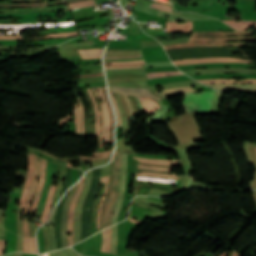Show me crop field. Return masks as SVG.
Returning <instances> with one entry per match:
<instances>
[{
  "mask_svg": "<svg viewBox=\"0 0 256 256\" xmlns=\"http://www.w3.org/2000/svg\"><path fill=\"white\" fill-rule=\"evenodd\" d=\"M252 31H232V32H192L188 43H178L172 45H165V50L172 48L184 47H203V46H248L244 42H220L233 40L256 41L255 37H223L232 35H250ZM198 41H213L206 43H198Z\"/></svg>",
  "mask_w": 256,
  "mask_h": 256,
  "instance_id": "crop-field-1",
  "label": "crop field"
},
{
  "mask_svg": "<svg viewBox=\"0 0 256 256\" xmlns=\"http://www.w3.org/2000/svg\"><path fill=\"white\" fill-rule=\"evenodd\" d=\"M215 92L184 94L183 107L188 113L208 115Z\"/></svg>",
  "mask_w": 256,
  "mask_h": 256,
  "instance_id": "crop-field-2",
  "label": "crop field"
},
{
  "mask_svg": "<svg viewBox=\"0 0 256 256\" xmlns=\"http://www.w3.org/2000/svg\"><path fill=\"white\" fill-rule=\"evenodd\" d=\"M119 180H120V173L112 175V184H111V188H110V197H109V201L107 203V206L104 210L102 229L104 228L105 224H106V227L110 226L111 217H112L113 210H114L115 203H116L117 196H118Z\"/></svg>",
  "mask_w": 256,
  "mask_h": 256,
  "instance_id": "crop-field-3",
  "label": "crop field"
},
{
  "mask_svg": "<svg viewBox=\"0 0 256 256\" xmlns=\"http://www.w3.org/2000/svg\"><path fill=\"white\" fill-rule=\"evenodd\" d=\"M109 91L124 94L126 101L128 103V107H129L132 118L134 117V112L132 110L130 100L126 95L147 97V98L156 99V100H160V101L163 99V98L153 94L148 89H130V88L109 87Z\"/></svg>",
  "mask_w": 256,
  "mask_h": 256,
  "instance_id": "crop-field-4",
  "label": "crop field"
},
{
  "mask_svg": "<svg viewBox=\"0 0 256 256\" xmlns=\"http://www.w3.org/2000/svg\"><path fill=\"white\" fill-rule=\"evenodd\" d=\"M39 160H40V157L35 155V164H34L35 173H34L33 183L31 185V189H30V192H29L27 203H26V206H25V209H24V212H23V234H24L25 237H29V231H28V222L24 218V214L29 211L30 202L32 200V197H33L35 189H36Z\"/></svg>",
  "mask_w": 256,
  "mask_h": 256,
  "instance_id": "crop-field-5",
  "label": "crop field"
},
{
  "mask_svg": "<svg viewBox=\"0 0 256 256\" xmlns=\"http://www.w3.org/2000/svg\"><path fill=\"white\" fill-rule=\"evenodd\" d=\"M84 179L82 178L79 182H78V190L73 198V200L71 201L70 205H69V210H68V220H67V229L68 232L72 231L71 235L68 236V246L73 244V219H74V208H75V204H76V200L82 190L83 187V183H84Z\"/></svg>",
  "mask_w": 256,
  "mask_h": 256,
  "instance_id": "crop-field-6",
  "label": "crop field"
},
{
  "mask_svg": "<svg viewBox=\"0 0 256 256\" xmlns=\"http://www.w3.org/2000/svg\"><path fill=\"white\" fill-rule=\"evenodd\" d=\"M150 6L159 9V16L161 17L169 16L168 21H171V22L189 21V19H187L181 13L172 12L171 6L169 5L152 3Z\"/></svg>",
  "mask_w": 256,
  "mask_h": 256,
  "instance_id": "crop-field-7",
  "label": "crop field"
},
{
  "mask_svg": "<svg viewBox=\"0 0 256 256\" xmlns=\"http://www.w3.org/2000/svg\"><path fill=\"white\" fill-rule=\"evenodd\" d=\"M46 162L47 161L44 160V159L41 160L39 184L37 186V190H36V193L34 195V199H33V202H32L31 209H30L29 217H31L32 213L35 212L36 209H37V205H38V202H39V199H40V194H41V191H42L43 182H44L45 174H46Z\"/></svg>",
  "mask_w": 256,
  "mask_h": 256,
  "instance_id": "crop-field-8",
  "label": "crop field"
},
{
  "mask_svg": "<svg viewBox=\"0 0 256 256\" xmlns=\"http://www.w3.org/2000/svg\"><path fill=\"white\" fill-rule=\"evenodd\" d=\"M212 88H215L219 91H226V90H238L248 93L256 94V84H219V85H208ZM253 89L252 91H249V89Z\"/></svg>",
  "mask_w": 256,
  "mask_h": 256,
  "instance_id": "crop-field-9",
  "label": "crop field"
},
{
  "mask_svg": "<svg viewBox=\"0 0 256 256\" xmlns=\"http://www.w3.org/2000/svg\"><path fill=\"white\" fill-rule=\"evenodd\" d=\"M175 65L179 64H191V63H203V62H243L251 63L245 60H239L235 58H211V59H187V60H178L173 61Z\"/></svg>",
  "mask_w": 256,
  "mask_h": 256,
  "instance_id": "crop-field-10",
  "label": "crop field"
},
{
  "mask_svg": "<svg viewBox=\"0 0 256 256\" xmlns=\"http://www.w3.org/2000/svg\"><path fill=\"white\" fill-rule=\"evenodd\" d=\"M13 2H35V1H45L41 3H32V4H9V3H0V7H40L47 6L50 4H59L64 3L63 0L55 1L54 3H48L47 0H11Z\"/></svg>",
  "mask_w": 256,
  "mask_h": 256,
  "instance_id": "crop-field-11",
  "label": "crop field"
},
{
  "mask_svg": "<svg viewBox=\"0 0 256 256\" xmlns=\"http://www.w3.org/2000/svg\"><path fill=\"white\" fill-rule=\"evenodd\" d=\"M33 163H34V155H29L28 175H27V180H26V184H25V189H24L22 198L20 200L21 205H19V207L22 208V209L24 207V203H25V200H26V197H27V193H28V190L30 188L31 181H32V178H33V172H34Z\"/></svg>",
  "mask_w": 256,
  "mask_h": 256,
  "instance_id": "crop-field-12",
  "label": "crop field"
},
{
  "mask_svg": "<svg viewBox=\"0 0 256 256\" xmlns=\"http://www.w3.org/2000/svg\"><path fill=\"white\" fill-rule=\"evenodd\" d=\"M52 165H53V163L48 161V163H47V175H46V180H45V184H44L42 196H41V199H40V202H39V206H38V209H37V210H40V211L43 210V206H44V203H45V199H46V196H47V192H48V189H49V187H50Z\"/></svg>",
  "mask_w": 256,
  "mask_h": 256,
  "instance_id": "crop-field-13",
  "label": "crop field"
},
{
  "mask_svg": "<svg viewBox=\"0 0 256 256\" xmlns=\"http://www.w3.org/2000/svg\"><path fill=\"white\" fill-rule=\"evenodd\" d=\"M125 181H126V174L121 173L120 191H119L118 200H117L116 207H115L114 214H113V218H112V224L117 222V216H118L121 204L123 202V197H124Z\"/></svg>",
  "mask_w": 256,
  "mask_h": 256,
  "instance_id": "crop-field-14",
  "label": "crop field"
},
{
  "mask_svg": "<svg viewBox=\"0 0 256 256\" xmlns=\"http://www.w3.org/2000/svg\"><path fill=\"white\" fill-rule=\"evenodd\" d=\"M192 26V22L167 23L166 30L167 32H189L192 31Z\"/></svg>",
  "mask_w": 256,
  "mask_h": 256,
  "instance_id": "crop-field-15",
  "label": "crop field"
},
{
  "mask_svg": "<svg viewBox=\"0 0 256 256\" xmlns=\"http://www.w3.org/2000/svg\"><path fill=\"white\" fill-rule=\"evenodd\" d=\"M97 89H98L99 96L101 97V99L103 101V109H104V117H105V129H106V132H105V135H104V139H105V143H108V139H109L108 107H107V104H106V101H105V98H104V95H103L101 87H98ZM105 143H104V147L103 148H107Z\"/></svg>",
  "mask_w": 256,
  "mask_h": 256,
  "instance_id": "crop-field-16",
  "label": "crop field"
},
{
  "mask_svg": "<svg viewBox=\"0 0 256 256\" xmlns=\"http://www.w3.org/2000/svg\"><path fill=\"white\" fill-rule=\"evenodd\" d=\"M194 91H196V90L192 89L191 86H186V87L167 89V90H164L162 93H158V94H160L161 96L167 98L169 96L176 95V94H179V93L194 92Z\"/></svg>",
  "mask_w": 256,
  "mask_h": 256,
  "instance_id": "crop-field-17",
  "label": "crop field"
},
{
  "mask_svg": "<svg viewBox=\"0 0 256 256\" xmlns=\"http://www.w3.org/2000/svg\"><path fill=\"white\" fill-rule=\"evenodd\" d=\"M66 10V6H53V7H47V8H31V9H15L13 11L8 10H0V12H35V11H55L60 9Z\"/></svg>",
  "mask_w": 256,
  "mask_h": 256,
  "instance_id": "crop-field-18",
  "label": "crop field"
},
{
  "mask_svg": "<svg viewBox=\"0 0 256 256\" xmlns=\"http://www.w3.org/2000/svg\"><path fill=\"white\" fill-rule=\"evenodd\" d=\"M55 189H56L55 186L50 187V190H49V193H48V196H47V200H46V204H45V207H44V210H43L42 218H41L43 223L48 218V214H49V210H50V206H51V202H52V198H53V194H54Z\"/></svg>",
  "mask_w": 256,
  "mask_h": 256,
  "instance_id": "crop-field-19",
  "label": "crop field"
},
{
  "mask_svg": "<svg viewBox=\"0 0 256 256\" xmlns=\"http://www.w3.org/2000/svg\"><path fill=\"white\" fill-rule=\"evenodd\" d=\"M139 100L141 101L143 107H144V110L146 111V113L149 115L151 113H154L155 109L154 108H158L160 109L159 105L151 100V99H147V98H141V97H138Z\"/></svg>",
  "mask_w": 256,
  "mask_h": 256,
  "instance_id": "crop-field-20",
  "label": "crop field"
},
{
  "mask_svg": "<svg viewBox=\"0 0 256 256\" xmlns=\"http://www.w3.org/2000/svg\"><path fill=\"white\" fill-rule=\"evenodd\" d=\"M103 49H82L78 50L81 57L85 58H99Z\"/></svg>",
  "mask_w": 256,
  "mask_h": 256,
  "instance_id": "crop-field-21",
  "label": "crop field"
},
{
  "mask_svg": "<svg viewBox=\"0 0 256 256\" xmlns=\"http://www.w3.org/2000/svg\"><path fill=\"white\" fill-rule=\"evenodd\" d=\"M202 83H256V79H246L235 82L233 79L198 80Z\"/></svg>",
  "mask_w": 256,
  "mask_h": 256,
  "instance_id": "crop-field-22",
  "label": "crop field"
},
{
  "mask_svg": "<svg viewBox=\"0 0 256 256\" xmlns=\"http://www.w3.org/2000/svg\"><path fill=\"white\" fill-rule=\"evenodd\" d=\"M224 22L226 24H228L229 26H231L232 28L237 29V30H245V29H247V26L256 24V21H240V22L224 21Z\"/></svg>",
  "mask_w": 256,
  "mask_h": 256,
  "instance_id": "crop-field-23",
  "label": "crop field"
},
{
  "mask_svg": "<svg viewBox=\"0 0 256 256\" xmlns=\"http://www.w3.org/2000/svg\"><path fill=\"white\" fill-rule=\"evenodd\" d=\"M88 90V94L94 104V110H95V117H96V128H97V135L96 136H99L100 135V127H99V108L97 106V103L95 101V98L93 96V93L91 91V89H87Z\"/></svg>",
  "mask_w": 256,
  "mask_h": 256,
  "instance_id": "crop-field-24",
  "label": "crop field"
},
{
  "mask_svg": "<svg viewBox=\"0 0 256 256\" xmlns=\"http://www.w3.org/2000/svg\"><path fill=\"white\" fill-rule=\"evenodd\" d=\"M106 97V101L109 107V113H110V125H111V135H110V144L113 145L114 143V137H113V129H114V118H113V114H112V110H111V106L109 104V100H108V96H107V92L105 88H102Z\"/></svg>",
  "mask_w": 256,
  "mask_h": 256,
  "instance_id": "crop-field-25",
  "label": "crop field"
},
{
  "mask_svg": "<svg viewBox=\"0 0 256 256\" xmlns=\"http://www.w3.org/2000/svg\"><path fill=\"white\" fill-rule=\"evenodd\" d=\"M93 91L95 93V96L97 98H99L95 88H93ZM99 107H100V116H101V136H99V147L102 148L103 133H104V118H103V112H102V108H101V100H100V98H99Z\"/></svg>",
  "mask_w": 256,
  "mask_h": 256,
  "instance_id": "crop-field-26",
  "label": "crop field"
},
{
  "mask_svg": "<svg viewBox=\"0 0 256 256\" xmlns=\"http://www.w3.org/2000/svg\"><path fill=\"white\" fill-rule=\"evenodd\" d=\"M69 5V9H73V8H79V7H89V6H93L95 5L94 0H86V1H82V2H76V3H70L67 4Z\"/></svg>",
  "mask_w": 256,
  "mask_h": 256,
  "instance_id": "crop-field-27",
  "label": "crop field"
},
{
  "mask_svg": "<svg viewBox=\"0 0 256 256\" xmlns=\"http://www.w3.org/2000/svg\"><path fill=\"white\" fill-rule=\"evenodd\" d=\"M138 176L161 177V178H169V179L179 180L176 177V175H164V174L147 173V172H138Z\"/></svg>",
  "mask_w": 256,
  "mask_h": 256,
  "instance_id": "crop-field-28",
  "label": "crop field"
},
{
  "mask_svg": "<svg viewBox=\"0 0 256 256\" xmlns=\"http://www.w3.org/2000/svg\"><path fill=\"white\" fill-rule=\"evenodd\" d=\"M120 165H121V153L115 152L113 158V173L120 172Z\"/></svg>",
  "mask_w": 256,
  "mask_h": 256,
  "instance_id": "crop-field-29",
  "label": "crop field"
},
{
  "mask_svg": "<svg viewBox=\"0 0 256 256\" xmlns=\"http://www.w3.org/2000/svg\"><path fill=\"white\" fill-rule=\"evenodd\" d=\"M41 24L44 23H39V24H33L32 26H29L28 28H35V27H40ZM74 22H63V23H54V24H45L46 27H58V26H69V25H73Z\"/></svg>",
  "mask_w": 256,
  "mask_h": 256,
  "instance_id": "crop-field-30",
  "label": "crop field"
},
{
  "mask_svg": "<svg viewBox=\"0 0 256 256\" xmlns=\"http://www.w3.org/2000/svg\"><path fill=\"white\" fill-rule=\"evenodd\" d=\"M108 178L109 176H105V177H102L101 178V182H106V186H105V192H104V196L99 204V212H98V219H97V230H99V219H100V211H101V205H102V202L106 196V190H107V185H108Z\"/></svg>",
  "mask_w": 256,
  "mask_h": 256,
  "instance_id": "crop-field-31",
  "label": "crop field"
},
{
  "mask_svg": "<svg viewBox=\"0 0 256 256\" xmlns=\"http://www.w3.org/2000/svg\"><path fill=\"white\" fill-rule=\"evenodd\" d=\"M116 228H117V225L112 227V237H111L112 247H111L110 253H114V254L116 251V242H117Z\"/></svg>",
  "mask_w": 256,
  "mask_h": 256,
  "instance_id": "crop-field-32",
  "label": "crop field"
},
{
  "mask_svg": "<svg viewBox=\"0 0 256 256\" xmlns=\"http://www.w3.org/2000/svg\"><path fill=\"white\" fill-rule=\"evenodd\" d=\"M138 180L158 181V182H161V183H174L173 180L160 179V178H149V177H138Z\"/></svg>",
  "mask_w": 256,
  "mask_h": 256,
  "instance_id": "crop-field-33",
  "label": "crop field"
},
{
  "mask_svg": "<svg viewBox=\"0 0 256 256\" xmlns=\"http://www.w3.org/2000/svg\"><path fill=\"white\" fill-rule=\"evenodd\" d=\"M75 107V123H76V131L77 133L80 132L79 123H80V112L77 106V103H74Z\"/></svg>",
  "mask_w": 256,
  "mask_h": 256,
  "instance_id": "crop-field-34",
  "label": "crop field"
},
{
  "mask_svg": "<svg viewBox=\"0 0 256 256\" xmlns=\"http://www.w3.org/2000/svg\"><path fill=\"white\" fill-rule=\"evenodd\" d=\"M56 256H74V251L70 248L56 251Z\"/></svg>",
  "mask_w": 256,
  "mask_h": 256,
  "instance_id": "crop-field-35",
  "label": "crop field"
},
{
  "mask_svg": "<svg viewBox=\"0 0 256 256\" xmlns=\"http://www.w3.org/2000/svg\"><path fill=\"white\" fill-rule=\"evenodd\" d=\"M110 93V99L114 105V109H115V112L117 114V126H121V119H120V116H119V112H118V109H117V104H116V100L113 96V93L109 92Z\"/></svg>",
  "mask_w": 256,
  "mask_h": 256,
  "instance_id": "crop-field-36",
  "label": "crop field"
},
{
  "mask_svg": "<svg viewBox=\"0 0 256 256\" xmlns=\"http://www.w3.org/2000/svg\"><path fill=\"white\" fill-rule=\"evenodd\" d=\"M73 35H78V33L73 32V33H65V34H49L44 38H60V37H67V36H73ZM39 39H41V38H39Z\"/></svg>",
  "mask_w": 256,
  "mask_h": 256,
  "instance_id": "crop-field-37",
  "label": "crop field"
},
{
  "mask_svg": "<svg viewBox=\"0 0 256 256\" xmlns=\"http://www.w3.org/2000/svg\"><path fill=\"white\" fill-rule=\"evenodd\" d=\"M137 157L154 158V159H175L174 156H151V155H139L134 154Z\"/></svg>",
  "mask_w": 256,
  "mask_h": 256,
  "instance_id": "crop-field-38",
  "label": "crop field"
},
{
  "mask_svg": "<svg viewBox=\"0 0 256 256\" xmlns=\"http://www.w3.org/2000/svg\"><path fill=\"white\" fill-rule=\"evenodd\" d=\"M107 230L103 231L102 233V249L101 251L106 252L107 251Z\"/></svg>",
  "mask_w": 256,
  "mask_h": 256,
  "instance_id": "crop-field-39",
  "label": "crop field"
},
{
  "mask_svg": "<svg viewBox=\"0 0 256 256\" xmlns=\"http://www.w3.org/2000/svg\"><path fill=\"white\" fill-rule=\"evenodd\" d=\"M30 24L27 25H0V29H20V28H26Z\"/></svg>",
  "mask_w": 256,
  "mask_h": 256,
  "instance_id": "crop-field-40",
  "label": "crop field"
},
{
  "mask_svg": "<svg viewBox=\"0 0 256 256\" xmlns=\"http://www.w3.org/2000/svg\"><path fill=\"white\" fill-rule=\"evenodd\" d=\"M78 102H79V107H80V112H81V118H82V123H81V129H82V135L86 136L85 134V128H84V115H83V108L81 106L80 98L78 97Z\"/></svg>",
  "mask_w": 256,
  "mask_h": 256,
  "instance_id": "crop-field-41",
  "label": "crop field"
},
{
  "mask_svg": "<svg viewBox=\"0 0 256 256\" xmlns=\"http://www.w3.org/2000/svg\"><path fill=\"white\" fill-rule=\"evenodd\" d=\"M126 162H127V154L122 153L121 172H126Z\"/></svg>",
  "mask_w": 256,
  "mask_h": 256,
  "instance_id": "crop-field-42",
  "label": "crop field"
},
{
  "mask_svg": "<svg viewBox=\"0 0 256 256\" xmlns=\"http://www.w3.org/2000/svg\"><path fill=\"white\" fill-rule=\"evenodd\" d=\"M30 252L37 253L34 238H30Z\"/></svg>",
  "mask_w": 256,
  "mask_h": 256,
  "instance_id": "crop-field-43",
  "label": "crop field"
},
{
  "mask_svg": "<svg viewBox=\"0 0 256 256\" xmlns=\"http://www.w3.org/2000/svg\"><path fill=\"white\" fill-rule=\"evenodd\" d=\"M29 251V238H24V252Z\"/></svg>",
  "mask_w": 256,
  "mask_h": 256,
  "instance_id": "crop-field-44",
  "label": "crop field"
},
{
  "mask_svg": "<svg viewBox=\"0 0 256 256\" xmlns=\"http://www.w3.org/2000/svg\"><path fill=\"white\" fill-rule=\"evenodd\" d=\"M141 57V55L136 56H129V57H104V59H117V58H138Z\"/></svg>",
  "mask_w": 256,
  "mask_h": 256,
  "instance_id": "crop-field-45",
  "label": "crop field"
},
{
  "mask_svg": "<svg viewBox=\"0 0 256 256\" xmlns=\"http://www.w3.org/2000/svg\"><path fill=\"white\" fill-rule=\"evenodd\" d=\"M136 62H144L143 60H137V61H123V62H104V64L109 63H136Z\"/></svg>",
  "mask_w": 256,
  "mask_h": 256,
  "instance_id": "crop-field-46",
  "label": "crop field"
},
{
  "mask_svg": "<svg viewBox=\"0 0 256 256\" xmlns=\"http://www.w3.org/2000/svg\"><path fill=\"white\" fill-rule=\"evenodd\" d=\"M0 39H21L20 36H0Z\"/></svg>",
  "mask_w": 256,
  "mask_h": 256,
  "instance_id": "crop-field-47",
  "label": "crop field"
},
{
  "mask_svg": "<svg viewBox=\"0 0 256 256\" xmlns=\"http://www.w3.org/2000/svg\"><path fill=\"white\" fill-rule=\"evenodd\" d=\"M135 158V157H133ZM135 159H141V158H135ZM142 160H149V161H159V162H173V163H177L176 160L174 161H168V160H151V159H142Z\"/></svg>",
  "mask_w": 256,
  "mask_h": 256,
  "instance_id": "crop-field-48",
  "label": "crop field"
},
{
  "mask_svg": "<svg viewBox=\"0 0 256 256\" xmlns=\"http://www.w3.org/2000/svg\"><path fill=\"white\" fill-rule=\"evenodd\" d=\"M136 65H145V63H140V64H123V65H104V66H136Z\"/></svg>",
  "mask_w": 256,
  "mask_h": 256,
  "instance_id": "crop-field-49",
  "label": "crop field"
},
{
  "mask_svg": "<svg viewBox=\"0 0 256 256\" xmlns=\"http://www.w3.org/2000/svg\"><path fill=\"white\" fill-rule=\"evenodd\" d=\"M4 254V241L0 240V256Z\"/></svg>",
  "mask_w": 256,
  "mask_h": 256,
  "instance_id": "crop-field-50",
  "label": "crop field"
},
{
  "mask_svg": "<svg viewBox=\"0 0 256 256\" xmlns=\"http://www.w3.org/2000/svg\"><path fill=\"white\" fill-rule=\"evenodd\" d=\"M139 162L153 163V164H162V165H176V164H170V163L148 162V161H141V160H139Z\"/></svg>",
  "mask_w": 256,
  "mask_h": 256,
  "instance_id": "crop-field-51",
  "label": "crop field"
},
{
  "mask_svg": "<svg viewBox=\"0 0 256 256\" xmlns=\"http://www.w3.org/2000/svg\"><path fill=\"white\" fill-rule=\"evenodd\" d=\"M21 31H23V30H11V31L6 32L5 34H19Z\"/></svg>",
  "mask_w": 256,
  "mask_h": 256,
  "instance_id": "crop-field-52",
  "label": "crop field"
},
{
  "mask_svg": "<svg viewBox=\"0 0 256 256\" xmlns=\"http://www.w3.org/2000/svg\"><path fill=\"white\" fill-rule=\"evenodd\" d=\"M99 75H103V73L94 74V75H87V76H75V78H83V77H91V76H99Z\"/></svg>",
  "mask_w": 256,
  "mask_h": 256,
  "instance_id": "crop-field-53",
  "label": "crop field"
},
{
  "mask_svg": "<svg viewBox=\"0 0 256 256\" xmlns=\"http://www.w3.org/2000/svg\"><path fill=\"white\" fill-rule=\"evenodd\" d=\"M112 151H107V152H102V153H94V156H99V155H105V154H111Z\"/></svg>",
  "mask_w": 256,
  "mask_h": 256,
  "instance_id": "crop-field-54",
  "label": "crop field"
},
{
  "mask_svg": "<svg viewBox=\"0 0 256 256\" xmlns=\"http://www.w3.org/2000/svg\"><path fill=\"white\" fill-rule=\"evenodd\" d=\"M110 236H111V228H109V236H108V244H109V247H108V253H109V251H110V246H111V244H110Z\"/></svg>",
  "mask_w": 256,
  "mask_h": 256,
  "instance_id": "crop-field-55",
  "label": "crop field"
},
{
  "mask_svg": "<svg viewBox=\"0 0 256 256\" xmlns=\"http://www.w3.org/2000/svg\"><path fill=\"white\" fill-rule=\"evenodd\" d=\"M136 67H142V66H136ZM117 68H134V67H105V69H117Z\"/></svg>",
  "mask_w": 256,
  "mask_h": 256,
  "instance_id": "crop-field-56",
  "label": "crop field"
},
{
  "mask_svg": "<svg viewBox=\"0 0 256 256\" xmlns=\"http://www.w3.org/2000/svg\"><path fill=\"white\" fill-rule=\"evenodd\" d=\"M109 156H110V155L100 156V157H80V158L97 159V158H105V157H109Z\"/></svg>",
  "mask_w": 256,
  "mask_h": 256,
  "instance_id": "crop-field-57",
  "label": "crop field"
},
{
  "mask_svg": "<svg viewBox=\"0 0 256 256\" xmlns=\"http://www.w3.org/2000/svg\"><path fill=\"white\" fill-rule=\"evenodd\" d=\"M130 222H133V223L138 224V225L142 224V222L131 219V218H130Z\"/></svg>",
  "mask_w": 256,
  "mask_h": 256,
  "instance_id": "crop-field-58",
  "label": "crop field"
},
{
  "mask_svg": "<svg viewBox=\"0 0 256 256\" xmlns=\"http://www.w3.org/2000/svg\"><path fill=\"white\" fill-rule=\"evenodd\" d=\"M139 166H142V165H139ZM142 167L157 168V169H167V170H170V169H171V168H158V167H151V166H142Z\"/></svg>",
  "mask_w": 256,
  "mask_h": 256,
  "instance_id": "crop-field-59",
  "label": "crop field"
},
{
  "mask_svg": "<svg viewBox=\"0 0 256 256\" xmlns=\"http://www.w3.org/2000/svg\"><path fill=\"white\" fill-rule=\"evenodd\" d=\"M138 169H148V168H138ZM148 170H155V171H166V170H156V169H148ZM166 172H171V171H166Z\"/></svg>",
  "mask_w": 256,
  "mask_h": 256,
  "instance_id": "crop-field-60",
  "label": "crop field"
},
{
  "mask_svg": "<svg viewBox=\"0 0 256 256\" xmlns=\"http://www.w3.org/2000/svg\"><path fill=\"white\" fill-rule=\"evenodd\" d=\"M66 3H69V2H75V1H81V0H65Z\"/></svg>",
  "mask_w": 256,
  "mask_h": 256,
  "instance_id": "crop-field-61",
  "label": "crop field"
},
{
  "mask_svg": "<svg viewBox=\"0 0 256 256\" xmlns=\"http://www.w3.org/2000/svg\"><path fill=\"white\" fill-rule=\"evenodd\" d=\"M221 256H227V253L223 252V254Z\"/></svg>",
  "mask_w": 256,
  "mask_h": 256,
  "instance_id": "crop-field-62",
  "label": "crop field"
},
{
  "mask_svg": "<svg viewBox=\"0 0 256 256\" xmlns=\"http://www.w3.org/2000/svg\"><path fill=\"white\" fill-rule=\"evenodd\" d=\"M67 166L72 167V164H70V163L68 162Z\"/></svg>",
  "mask_w": 256,
  "mask_h": 256,
  "instance_id": "crop-field-63",
  "label": "crop field"
},
{
  "mask_svg": "<svg viewBox=\"0 0 256 256\" xmlns=\"http://www.w3.org/2000/svg\"><path fill=\"white\" fill-rule=\"evenodd\" d=\"M235 253H236V250L234 251V253H233V255H232V256H234V255H235Z\"/></svg>",
  "mask_w": 256,
  "mask_h": 256,
  "instance_id": "crop-field-64",
  "label": "crop field"
},
{
  "mask_svg": "<svg viewBox=\"0 0 256 256\" xmlns=\"http://www.w3.org/2000/svg\"><path fill=\"white\" fill-rule=\"evenodd\" d=\"M235 256H239V254H236Z\"/></svg>",
  "mask_w": 256,
  "mask_h": 256,
  "instance_id": "crop-field-65",
  "label": "crop field"
},
{
  "mask_svg": "<svg viewBox=\"0 0 256 256\" xmlns=\"http://www.w3.org/2000/svg\"><path fill=\"white\" fill-rule=\"evenodd\" d=\"M240 256H242V255H240Z\"/></svg>",
  "mask_w": 256,
  "mask_h": 256,
  "instance_id": "crop-field-66",
  "label": "crop field"
},
{
  "mask_svg": "<svg viewBox=\"0 0 256 256\" xmlns=\"http://www.w3.org/2000/svg\"><path fill=\"white\" fill-rule=\"evenodd\" d=\"M256 149V148H255Z\"/></svg>",
  "mask_w": 256,
  "mask_h": 256,
  "instance_id": "crop-field-67",
  "label": "crop field"
}]
</instances>
